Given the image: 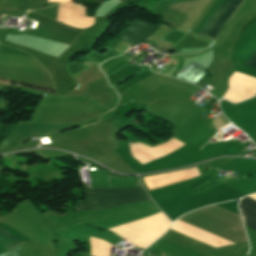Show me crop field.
<instances>
[{"label":"crop field","mask_w":256,"mask_h":256,"mask_svg":"<svg viewBox=\"0 0 256 256\" xmlns=\"http://www.w3.org/2000/svg\"><path fill=\"white\" fill-rule=\"evenodd\" d=\"M144 188H108L89 190L85 186L83 202H77V210H99L149 200Z\"/></svg>","instance_id":"obj_1"},{"label":"crop field","mask_w":256,"mask_h":256,"mask_svg":"<svg viewBox=\"0 0 256 256\" xmlns=\"http://www.w3.org/2000/svg\"><path fill=\"white\" fill-rule=\"evenodd\" d=\"M69 128L72 127L16 126L14 130L2 142H0V154L22 144V142L27 141L33 136L59 132Z\"/></svg>","instance_id":"obj_2"},{"label":"crop field","mask_w":256,"mask_h":256,"mask_svg":"<svg viewBox=\"0 0 256 256\" xmlns=\"http://www.w3.org/2000/svg\"><path fill=\"white\" fill-rule=\"evenodd\" d=\"M241 1L224 0L198 34L210 36L214 41L222 25L228 20Z\"/></svg>","instance_id":"obj_3"},{"label":"crop field","mask_w":256,"mask_h":256,"mask_svg":"<svg viewBox=\"0 0 256 256\" xmlns=\"http://www.w3.org/2000/svg\"><path fill=\"white\" fill-rule=\"evenodd\" d=\"M158 26L145 21H135L131 23L118 38L128 41L134 45L143 43L152 35Z\"/></svg>","instance_id":"obj_4"},{"label":"crop field","mask_w":256,"mask_h":256,"mask_svg":"<svg viewBox=\"0 0 256 256\" xmlns=\"http://www.w3.org/2000/svg\"><path fill=\"white\" fill-rule=\"evenodd\" d=\"M239 209L245 225L256 230V202L245 197L240 200Z\"/></svg>","instance_id":"obj_5"},{"label":"crop field","mask_w":256,"mask_h":256,"mask_svg":"<svg viewBox=\"0 0 256 256\" xmlns=\"http://www.w3.org/2000/svg\"><path fill=\"white\" fill-rule=\"evenodd\" d=\"M203 74L204 68L191 62L182 71H180L175 78L195 84Z\"/></svg>","instance_id":"obj_6"},{"label":"crop field","mask_w":256,"mask_h":256,"mask_svg":"<svg viewBox=\"0 0 256 256\" xmlns=\"http://www.w3.org/2000/svg\"><path fill=\"white\" fill-rule=\"evenodd\" d=\"M21 243L23 242L16 239L8 231L0 227V253L11 249Z\"/></svg>","instance_id":"obj_7"},{"label":"crop field","mask_w":256,"mask_h":256,"mask_svg":"<svg viewBox=\"0 0 256 256\" xmlns=\"http://www.w3.org/2000/svg\"><path fill=\"white\" fill-rule=\"evenodd\" d=\"M204 113H206L203 109H198L194 113H192L190 116H188L186 119H184L182 122H180L178 125L174 127L172 130V135L178 134L180 131H182L184 128H186L188 125H190L192 122H194L196 119H198L200 116H202Z\"/></svg>","instance_id":"obj_8"},{"label":"crop field","mask_w":256,"mask_h":256,"mask_svg":"<svg viewBox=\"0 0 256 256\" xmlns=\"http://www.w3.org/2000/svg\"><path fill=\"white\" fill-rule=\"evenodd\" d=\"M0 82L56 94L55 90H53V89L39 87V86H35V85H30V84H25V83H21V82L12 81V80L0 78Z\"/></svg>","instance_id":"obj_9"},{"label":"crop field","mask_w":256,"mask_h":256,"mask_svg":"<svg viewBox=\"0 0 256 256\" xmlns=\"http://www.w3.org/2000/svg\"><path fill=\"white\" fill-rule=\"evenodd\" d=\"M20 249L21 248L19 246H17L15 248H13V249H11V250L1 254L0 256H18L19 253H20Z\"/></svg>","instance_id":"obj_10"},{"label":"crop field","mask_w":256,"mask_h":256,"mask_svg":"<svg viewBox=\"0 0 256 256\" xmlns=\"http://www.w3.org/2000/svg\"><path fill=\"white\" fill-rule=\"evenodd\" d=\"M245 65L256 68V52L247 60Z\"/></svg>","instance_id":"obj_11"},{"label":"crop field","mask_w":256,"mask_h":256,"mask_svg":"<svg viewBox=\"0 0 256 256\" xmlns=\"http://www.w3.org/2000/svg\"><path fill=\"white\" fill-rule=\"evenodd\" d=\"M183 1H189V0H168L163 2L164 4L168 5L169 7L179 3V2H183Z\"/></svg>","instance_id":"obj_12"}]
</instances>
